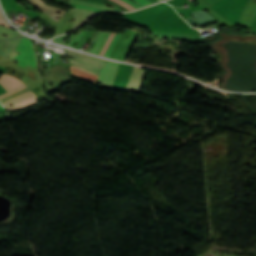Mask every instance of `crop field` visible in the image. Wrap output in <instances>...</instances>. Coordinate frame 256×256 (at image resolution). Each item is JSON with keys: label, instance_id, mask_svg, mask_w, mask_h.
Returning a JSON list of instances; mask_svg holds the SVG:
<instances>
[{"label": "crop field", "instance_id": "d9b57169", "mask_svg": "<svg viewBox=\"0 0 256 256\" xmlns=\"http://www.w3.org/2000/svg\"><path fill=\"white\" fill-rule=\"evenodd\" d=\"M119 34H120V33H119ZM119 34L114 35V37H113V39H112V41H111V43H110V45H109V47H108V49H107V51H106V53H105L104 56L108 57V55H109L111 49L113 48V46H114V44H115V42H116V40H117Z\"/></svg>", "mask_w": 256, "mask_h": 256}, {"label": "crop field", "instance_id": "ac0d7876", "mask_svg": "<svg viewBox=\"0 0 256 256\" xmlns=\"http://www.w3.org/2000/svg\"><path fill=\"white\" fill-rule=\"evenodd\" d=\"M69 62H70V71L72 74L97 84V76L100 72L99 70L75 61L69 60Z\"/></svg>", "mask_w": 256, "mask_h": 256}, {"label": "crop field", "instance_id": "f4fd0767", "mask_svg": "<svg viewBox=\"0 0 256 256\" xmlns=\"http://www.w3.org/2000/svg\"><path fill=\"white\" fill-rule=\"evenodd\" d=\"M255 15H256V0H248L247 4L245 5L242 11L238 25H242L250 29Z\"/></svg>", "mask_w": 256, "mask_h": 256}, {"label": "crop field", "instance_id": "d8731c3e", "mask_svg": "<svg viewBox=\"0 0 256 256\" xmlns=\"http://www.w3.org/2000/svg\"><path fill=\"white\" fill-rule=\"evenodd\" d=\"M67 54L72 56L73 58H75L76 61L83 62V63H85L89 66L96 67V68H99V69H101V67L105 63V61H103L101 59H98V58H95V57H92V56H89V55L77 53V52H74V51H70V50H67Z\"/></svg>", "mask_w": 256, "mask_h": 256}, {"label": "crop field", "instance_id": "dd49c442", "mask_svg": "<svg viewBox=\"0 0 256 256\" xmlns=\"http://www.w3.org/2000/svg\"><path fill=\"white\" fill-rule=\"evenodd\" d=\"M145 74H146V71L134 67L131 78L128 82V85L125 91L140 94V89H141V85H142Z\"/></svg>", "mask_w": 256, "mask_h": 256}, {"label": "crop field", "instance_id": "214f88e0", "mask_svg": "<svg viewBox=\"0 0 256 256\" xmlns=\"http://www.w3.org/2000/svg\"><path fill=\"white\" fill-rule=\"evenodd\" d=\"M0 25L6 26V27H10L5 20L3 19L1 12H0ZM11 28V27H10Z\"/></svg>", "mask_w": 256, "mask_h": 256}, {"label": "crop field", "instance_id": "4a817a6b", "mask_svg": "<svg viewBox=\"0 0 256 256\" xmlns=\"http://www.w3.org/2000/svg\"><path fill=\"white\" fill-rule=\"evenodd\" d=\"M69 6H74V7H79V8L90 9V10H94V11H97V12L104 11V10H99V9L91 8V7H88V6L77 5V4H71V3H69Z\"/></svg>", "mask_w": 256, "mask_h": 256}, {"label": "crop field", "instance_id": "8a807250", "mask_svg": "<svg viewBox=\"0 0 256 256\" xmlns=\"http://www.w3.org/2000/svg\"><path fill=\"white\" fill-rule=\"evenodd\" d=\"M16 52H20V54L17 55ZM10 57L19 60L18 64L21 66L26 67V65L29 64L35 68L37 67L33 44L31 40L27 38H21L19 44Z\"/></svg>", "mask_w": 256, "mask_h": 256}, {"label": "crop field", "instance_id": "92a150f3", "mask_svg": "<svg viewBox=\"0 0 256 256\" xmlns=\"http://www.w3.org/2000/svg\"><path fill=\"white\" fill-rule=\"evenodd\" d=\"M85 33V31H83L71 44L70 46L72 47L78 40L79 38Z\"/></svg>", "mask_w": 256, "mask_h": 256}, {"label": "crop field", "instance_id": "34b2d1b8", "mask_svg": "<svg viewBox=\"0 0 256 256\" xmlns=\"http://www.w3.org/2000/svg\"><path fill=\"white\" fill-rule=\"evenodd\" d=\"M37 101V97L31 92L24 93L20 96H17L2 105L5 106L6 110L10 109H16V108H21L26 105L32 104Z\"/></svg>", "mask_w": 256, "mask_h": 256}, {"label": "crop field", "instance_id": "412701ff", "mask_svg": "<svg viewBox=\"0 0 256 256\" xmlns=\"http://www.w3.org/2000/svg\"><path fill=\"white\" fill-rule=\"evenodd\" d=\"M0 84L8 91V92L0 95V99L18 91V90L26 88V86L18 79L14 78L10 75H4V74L0 77Z\"/></svg>", "mask_w": 256, "mask_h": 256}, {"label": "crop field", "instance_id": "28ad6ade", "mask_svg": "<svg viewBox=\"0 0 256 256\" xmlns=\"http://www.w3.org/2000/svg\"><path fill=\"white\" fill-rule=\"evenodd\" d=\"M70 12H74V28L94 14V12L81 10L77 8L72 9Z\"/></svg>", "mask_w": 256, "mask_h": 256}, {"label": "crop field", "instance_id": "733c2abd", "mask_svg": "<svg viewBox=\"0 0 256 256\" xmlns=\"http://www.w3.org/2000/svg\"><path fill=\"white\" fill-rule=\"evenodd\" d=\"M113 35H114V33H110V35H109V37H108L106 43L104 44V46H103V48H102V50H101V52H100V55H102V56L104 55V53H105V51H106V49H107V47H108V45H109V43H110V41H111Z\"/></svg>", "mask_w": 256, "mask_h": 256}, {"label": "crop field", "instance_id": "cbeb9de0", "mask_svg": "<svg viewBox=\"0 0 256 256\" xmlns=\"http://www.w3.org/2000/svg\"><path fill=\"white\" fill-rule=\"evenodd\" d=\"M105 35H106V32H100V34H99V36H98V38H97V40H96L92 50H91V53H94V54L97 53V51H98V49H99V47H100V45H101Z\"/></svg>", "mask_w": 256, "mask_h": 256}, {"label": "crop field", "instance_id": "22f410ed", "mask_svg": "<svg viewBox=\"0 0 256 256\" xmlns=\"http://www.w3.org/2000/svg\"><path fill=\"white\" fill-rule=\"evenodd\" d=\"M69 2L78 3V4H84V5H88V6H92V7H95V8L108 10V11H116L114 9H111V8L107 7V6L91 4V3H87V2H83V1H78V0H69Z\"/></svg>", "mask_w": 256, "mask_h": 256}, {"label": "crop field", "instance_id": "bc2a9ffb", "mask_svg": "<svg viewBox=\"0 0 256 256\" xmlns=\"http://www.w3.org/2000/svg\"><path fill=\"white\" fill-rule=\"evenodd\" d=\"M112 1H114V2H116V3H118V4L122 5V6H124V7L128 8V9H130V10L135 9L134 7H132V6L128 5V4H126L125 2H123V1H121V0H112Z\"/></svg>", "mask_w": 256, "mask_h": 256}, {"label": "crop field", "instance_id": "d1516ede", "mask_svg": "<svg viewBox=\"0 0 256 256\" xmlns=\"http://www.w3.org/2000/svg\"><path fill=\"white\" fill-rule=\"evenodd\" d=\"M0 33L8 35L9 38L22 36V35L18 34L17 32L12 31V30H10L6 27H3V26H0ZM0 39H8V38L0 36Z\"/></svg>", "mask_w": 256, "mask_h": 256}, {"label": "crop field", "instance_id": "e52e79f7", "mask_svg": "<svg viewBox=\"0 0 256 256\" xmlns=\"http://www.w3.org/2000/svg\"><path fill=\"white\" fill-rule=\"evenodd\" d=\"M118 65V63L108 61L99 74L98 82L111 85Z\"/></svg>", "mask_w": 256, "mask_h": 256}, {"label": "crop field", "instance_id": "5142ce71", "mask_svg": "<svg viewBox=\"0 0 256 256\" xmlns=\"http://www.w3.org/2000/svg\"><path fill=\"white\" fill-rule=\"evenodd\" d=\"M125 2H127L128 4L136 7V8H139V7H143V6H146L148 4H151L148 0H134L135 2H137L138 4H140L141 6H139L138 4L132 2L131 0H123Z\"/></svg>", "mask_w": 256, "mask_h": 256}, {"label": "crop field", "instance_id": "5a996713", "mask_svg": "<svg viewBox=\"0 0 256 256\" xmlns=\"http://www.w3.org/2000/svg\"><path fill=\"white\" fill-rule=\"evenodd\" d=\"M29 1L33 6L41 9V10H50V11H53V12H57V11H61L62 13H64L65 11L55 7V6H50V5H47L45 4L44 2H42L41 0H27ZM50 11H42L43 13H45L46 15H48L50 18L56 20V21H59V19H56L58 16H62V14H55V13H52Z\"/></svg>", "mask_w": 256, "mask_h": 256}, {"label": "crop field", "instance_id": "00972430", "mask_svg": "<svg viewBox=\"0 0 256 256\" xmlns=\"http://www.w3.org/2000/svg\"><path fill=\"white\" fill-rule=\"evenodd\" d=\"M81 32H82V31H79V32L74 36V38H73L69 43H67L66 45L68 46Z\"/></svg>", "mask_w": 256, "mask_h": 256}, {"label": "crop field", "instance_id": "a9b5d70f", "mask_svg": "<svg viewBox=\"0 0 256 256\" xmlns=\"http://www.w3.org/2000/svg\"><path fill=\"white\" fill-rule=\"evenodd\" d=\"M0 106H1V104H0Z\"/></svg>", "mask_w": 256, "mask_h": 256}, {"label": "crop field", "instance_id": "dafd665d", "mask_svg": "<svg viewBox=\"0 0 256 256\" xmlns=\"http://www.w3.org/2000/svg\"><path fill=\"white\" fill-rule=\"evenodd\" d=\"M108 35H109V33H107V35H106V37H105V39H104V41H103V43H102V45H101V47H100V49H99L98 53H97V55L99 54V52H100V50H101V48H102L103 44L105 43V41H106V39H107Z\"/></svg>", "mask_w": 256, "mask_h": 256}, {"label": "crop field", "instance_id": "3316defc", "mask_svg": "<svg viewBox=\"0 0 256 256\" xmlns=\"http://www.w3.org/2000/svg\"><path fill=\"white\" fill-rule=\"evenodd\" d=\"M20 38L21 37L6 40V41H0V55L8 58L9 55L12 53V51L15 49V47L18 44ZM4 45H6V47H3Z\"/></svg>", "mask_w": 256, "mask_h": 256}]
</instances>
